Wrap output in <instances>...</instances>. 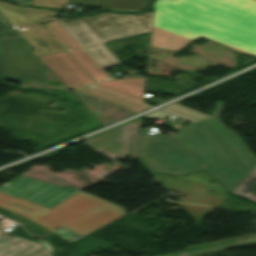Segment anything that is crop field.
<instances>
[{
  "label": "crop field",
  "instance_id": "obj_27",
  "mask_svg": "<svg viewBox=\"0 0 256 256\" xmlns=\"http://www.w3.org/2000/svg\"><path fill=\"white\" fill-rule=\"evenodd\" d=\"M40 243L46 248L47 251L53 253L50 249H52L46 242L40 241Z\"/></svg>",
  "mask_w": 256,
  "mask_h": 256
},
{
  "label": "crop field",
  "instance_id": "obj_2",
  "mask_svg": "<svg viewBox=\"0 0 256 256\" xmlns=\"http://www.w3.org/2000/svg\"><path fill=\"white\" fill-rule=\"evenodd\" d=\"M0 207L16 212L49 231L65 226L86 236L124 216L123 208L81 192L49 209L0 193Z\"/></svg>",
  "mask_w": 256,
  "mask_h": 256
},
{
  "label": "crop field",
  "instance_id": "obj_14",
  "mask_svg": "<svg viewBox=\"0 0 256 256\" xmlns=\"http://www.w3.org/2000/svg\"><path fill=\"white\" fill-rule=\"evenodd\" d=\"M99 84L115 88L143 99L144 78L118 79Z\"/></svg>",
  "mask_w": 256,
  "mask_h": 256
},
{
  "label": "crop field",
  "instance_id": "obj_12",
  "mask_svg": "<svg viewBox=\"0 0 256 256\" xmlns=\"http://www.w3.org/2000/svg\"><path fill=\"white\" fill-rule=\"evenodd\" d=\"M40 248L36 243L0 232V256H28Z\"/></svg>",
  "mask_w": 256,
  "mask_h": 256
},
{
  "label": "crop field",
  "instance_id": "obj_19",
  "mask_svg": "<svg viewBox=\"0 0 256 256\" xmlns=\"http://www.w3.org/2000/svg\"><path fill=\"white\" fill-rule=\"evenodd\" d=\"M55 234L61 236L62 238L66 239L67 241L71 242L70 240H78L82 238L81 236L77 235L76 233L72 232L67 228H62L59 231L54 232ZM72 243V242H71Z\"/></svg>",
  "mask_w": 256,
  "mask_h": 256
},
{
  "label": "crop field",
  "instance_id": "obj_26",
  "mask_svg": "<svg viewBox=\"0 0 256 256\" xmlns=\"http://www.w3.org/2000/svg\"><path fill=\"white\" fill-rule=\"evenodd\" d=\"M19 4H31L33 0H12Z\"/></svg>",
  "mask_w": 256,
  "mask_h": 256
},
{
  "label": "crop field",
  "instance_id": "obj_6",
  "mask_svg": "<svg viewBox=\"0 0 256 256\" xmlns=\"http://www.w3.org/2000/svg\"><path fill=\"white\" fill-rule=\"evenodd\" d=\"M137 160L152 173L183 176L204 170L170 136L140 135Z\"/></svg>",
  "mask_w": 256,
  "mask_h": 256
},
{
  "label": "crop field",
  "instance_id": "obj_5",
  "mask_svg": "<svg viewBox=\"0 0 256 256\" xmlns=\"http://www.w3.org/2000/svg\"><path fill=\"white\" fill-rule=\"evenodd\" d=\"M45 65L31 44L0 19V78L44 84Z\"/></svg>",
  "mask_w": 256,
  "mask_h": 256
},
{
  "label": "crop field",
  "instance_id": "obj_23",
  "mask_svg": "<svg viewBox=\"0 0 256 256\" xmlns=\"http://www.w3.org/2000/svg\"><path fill=\"white\" fill-rule=\"evenodd\" d=\"M95 85H96V86H100V87H102V88L108 89V90H110V91L116 92V93H118V94H121V95H123V96H126V97H128V98H131V99H133V100H136V101H139V102H142V103H143L142 100L137 99V98H135V97H132V96H130V95L124 94V93H122V92L116 91V90H114V89H111V88H108V87H105V86H101V85H98V84H95Z\"/></svg>",
  "mask_w": 256,
  "mask_h": 256
},
{
  "label": "crop field",
  "instance_id": "obj_21",
  "mask_svg": "<svg viewBox=\"0 0 256 256\" xmlns=\"http://www.w3.org/2000/svg\"><path fill=\"white\" fill-rule=\"evenodd\" d=\"M48 31L60 42V44L67 50H72V48L48 25H44Z\"/></svg>",
  "mask_w": 256,
  "mask_h": 256
},
{
  "label": "crop field",
  "instance_id": "obj_7",
  "mask_svg": "<svg viewBox=\"0 0 256 256\" xmlns=\"http://www.w3.org/2000/svg\"><path fill=\"white\" fill-rule=\"evenodd\" d=\"M73 58V57H72ZM67 53H59L39 59L70 90L85 94L101 101L138 113L149 107L99 90L91 86L94 81Z\"/></svg>",
  "mask_w": 256,
  "mask_h": 256
},
{
  "label": "crop field",
  "instance_id": "obj_10",
  "mask_svg": "<svg viewBox=\"0 0 256 256\" xmlns=\"http://www.w3.org/2000/svg\"><path fill=\"white\" fill-rule=\"evenodd\" d=\"M0 12L16 28L37 25L57 15L55 11L48 9L14 7L2 2H0Z\"/></svg>",
  "mask_w": 256,
  "mask_h": 256
},
{
  "label": "crop field",
  "instance_id": "obj_28",
  "mask_svg": "<svg viewBox=\"0 0 256 256\" xmlns=\"http://www.w3.org/2000/svg\"><path fill=\"white\" fill-rule=\"evenodd\" d=\"M250 175H253L256 177V168L250 173Z\"/></svg>",
  "mask_w": 256,
  "mask_h": 256
},
{
  "label": "crop field",
  "instance_id": "obj_18",
  "mask_svg": "<svg viewBox=\"0 0 256 256\" xmlns=\"http://www.w3.org/2000/svg\"><path fill=\"white\" fill-rule=\"evenodd\" d=\"M67 1L68 0H34L32 5H41L62 9L63 5H65Z\"/></svg>",
  "mask_w": 256,
  "mask_h": 256
},
{
  "label": "crop field",
  "instance_id": "obj_22",
  "mask_svg": "<svg viewBox=\"0 0 256 256\" xmlns=\"http://www.w3.org/2000/svg\"><path fill=\"white\" fill-rule=\"evenodd\" d=\"M168 115H169V114L156 111V112L151 113V114H149V115H146V116H144V117L152 118V119H159V118H165V117H167Z\"/></svg>",
  "mask_w": 256,
  "mask_h": 256
},
{
  "label": "crop field",
  "instance_id": "obj_17",
  "mask_svg": "<svg viewBox=\"0 0 256 256\" xmlns=\"http://www.w3.org/2000/svg\"><path fill=\"white\" fill-rule=\"evenodd\" d=\"M73 49L79 48L80 46L75 40L63 29V27L57 22L49 24Z\"/></svg>",
  "mask_w": 256,
  "mask_h": 256
},
{
  "label": "crop field",
  "instance_id": "obj_24",
  "mask_svg": "<svg viewBox=\"0 0 256 256\" xmlns=\"http://www.w3.org/2000/svg\"><path fill=\"white\" fill-rule=\"evenodd\" d=\"M30 256H52L50 253H48L44 247L35 253L31 254Z\"/></svg>",
  "mask_w": 256,
  "mask_h": 256
},
{
  "label": "crop field",
  "instance_id": "obj_11",
  "mask_svg": "<svg viewBox=\"0 0 256 256\" xmlns=\"http://www.w3.org/2000/svg\"><path fill=\"white\" fill-rule=\"evenodd\" d=\"M18 32L35 47L33 53L37 57L65 51L42 25L19 30Z\"/></svg>",
  "mask_w": 256,
  "mask_h": 256
},
{
  "label": "crop field",
  "instance_id": "obj_3",
  "mask_svg": "<svg viewBox=\"0 0 256 256\" xmlns=\"http://www.w3.org/2000/svg\"><path fill=\"white\" fill-rule=\"evenodd\" d=\"M154 12L131 15L102 13L59 21L104 68L120 64L102 42L152 31Z\"/></svg>",
  "mask_w": 256,
  "mask_h": 256
},
{
  "label": "crop field",
  "instance_id": "obj_15",
  "mask_svg": "<svg viewBox=\"0 0 256 256\" xmlns=\"http://www.w3.org/2000/svg\"><path fill=\"white\" fill-rule=\"evenodd\" d=\"M69 53L83 66L96 82L110 78L82 48L69 51Z\"/></svg>",
  "mask_w": 256,
  "mask_h": 256
},
{
  "label": "crop field",
  "instance_id": "obj_16",
  "mask_svg": "<svg viewBox=\"0 0 256 256\" xmlns=\"http://www.w3.org/2000/svg\"><path fill=\"white\" fill-rule=\"evenodd\" d=\"M232 193L247 197L256 202V178L248 175Z\"/></svg>",
  "mask_w": 256,
  "mask_h": 256
},
{
  "label": "crop field",
  "instance_id": "obj_9",
  "mask_svg": "<svg viewBox=\"0 0 256 256\" xmlns=\"http://www.w3.org/2000/svg\"><path fill=\"white\" fill-rule=\"evenodd\" d=\"M204 122L238 166L249 174L256 167V158L238 135L225 127L219 117Z\"/></svg>",
  "mask_w": 256,
  "mask_h": 256
},
{
  "label": "crop field",
  "instance_id": "obj_8",
  "mask_svg": "<svg viewBox=\"0 0 256 256\" xmlns=\"http://www.w3.org/2000/svg\"><path fill=\"white\" fill-rule=\"evenodd\" d=\"M0 191L17 198L28 199L49 208L80 192L57 185L38 182L23 176L1 187Z\"/></svg>",
  "mask_w": 256,
  "mask_h": 256
},
{
  "label": "crop field",
  "instance_id": "obj_1",
  "mask_svg": "<svg viewBox=\"0 0 256 256\" xmlns=\"http://www.w3.org/2000/svg\"><path fill=\"white\" fill-rule=\"evenodd\" d=\"M150 46L177 52L200 37L256 55V1L156 0Z\"/></svg>",
  "mask_w": 256,
  "mask_h": 256
},
{
  "label": "crop field",
  "instance_id": "obj_20",
  "mask_svg": "<svg viewBox=\"0 0 256 256\" xmlns=\"http://www.w3.org/2000/svg\"><path fill=\"white\" fill-rule=\"evenodd\" d=\"M166 108H169V109H171V110L180 112V113H182V114H185V115L194 117V118L199 119V120H202V119H204V118H207V117H205V116H202V115H200V114L194 113V112H192V111H189V110H187V109L181 108V107L176 106V105H173V104L170 105V106H168V107H166Z\"/></svg>",
  "mask_w": 256,
  "mask_h": 256
},
{
  "label": "crop field",
  "instance_id": "obj_25",
  "mask_svg": "<svg viewBox=\"0 0 256 256\" xmlns=\"http://www.w3.org/2000/svg\"><path fill=\"white\" fill-rule=\"evenodd\" d=\"M161 110H164V111H167V112H169V113H172V114H175V115H178V116L184 117V118L189 119V120H192V121H196V120H195V119H193V118H190V117L184 116V115H182V114H179V113H176V112L170 111V110L165 109V108H163V109H161Z\"/></svg>",
  "mask_w": 256,
  "mask_h": 256
},
{
  "label": "crop field",
  "instance_id": "obj_13",
  "mask_svg": "<svg viewBox=\"0 0 256 256\" xmlns=\"http://www.w3.org/2000/svg\"><path fill=\"white\" fill-rule=\"evenodd\" d=\"M149 2L150 0H70L69 4L137 11L145 9Z\"/></svg>",
  "mask_w": 256,
  "mask_h": 256
},
{
  "label": "crop field",
  "instance_id": "obj_4",
  "mask_svg": "<svg viewBox=\"0 0 256 256\" xmlns=\"http://www.w3.org/2000/svg\"><path fill=\"white\" fill-rule=\"evenodd\" d=\"M173 138L231 191L246 177L229 159L202 122L179 129Z\"/></svg>",
  "mask_w": 256,
  "mask_h": 256
}]
</instances>
